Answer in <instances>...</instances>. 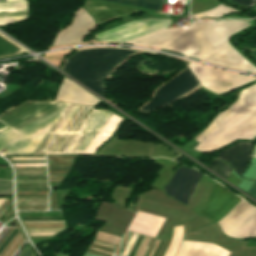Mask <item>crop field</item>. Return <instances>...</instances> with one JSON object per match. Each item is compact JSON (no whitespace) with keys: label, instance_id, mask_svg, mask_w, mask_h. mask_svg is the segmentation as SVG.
I'll return each instance as SVG.
<instances>
[{"label":"crop field","instance_id":"crop-field-1","mask_svg":"<svg viewBox=\"0 0 256 256\" xmlns=\"http://www.w3.org/2000/svg\"><path fill=\"white\" fill-rule=\"evenodd\" d=\"M251 23L247 21L214 22L177 53L256 73V69L233 50L227 42L229 36L246 28Z\"/></svg>","mask_w":256,"mask_h":256},{"label":"crop field","instance_id":"crop-field-2","mask_svg":"<svg viewBox=\"0 0 256 256\" xmlns=\"http://www.w3.org/2000/svg\"><path fill=\"white\" fill-rule=\"evenodd\" d=\"M136 52L139 51L113 48L81 50L67 58L61 70L103 97V78L122 60Z\"/></svg>","mask_w":256,"mask_h":256},{"label":"crop field","instance_id":"crop-field-3","mask_svg":"<svg viewBox=\"0 0 256 256\" xmlns=\"http://www.w3.org/2000/svg\"><path fill=\"white\" fill-rule=\"evenodd\" d=\"M255 136L256 116L230 112L200 142L196 150L213 151L238 137L253 139Z\"/></svg>","mask_w":256,"mask_h":256},{"label":"crop field","instance_id":"crop-field-4","mask_svg":"<svg viewBox=\"0 0 256 256\" xmlns=\"http://www.w3.org/2000/svg\"><path fill=\"white\" fill-rule=\"evenodd\" d=\"M211 22L213 21L207 23H193L187 26L189 29L183 32L180 29H166L133 40L127 44H141L176 52L200 31L207 27Z\"/></svg>","mask_w":256,"mask_h":256},{"label":"crop field","instance_id":"crop-field-5","mask_svg":"<svg viewBox=\"0 0 256 256\" xmlns=\"http://www.w3.org/2000/svg\"><path fill=\"white\" fill-rule=\"evenodd\" d=\"M197 81L193 77L189 68L185 69L183 72L174 77L164 86L159 88L154 98L140 110L150 112L162 105L170 103L171 101L181 97L185 93L200 86Z\"/></svg>","mask_w":256,"mask_h":256},{"label":"crop field","instance_id":"crop-field-6","mask_svg":"<svg viewBox=\"0 0 256 256\" xmlns=\"http://www.w3.org/2000/svg\"><path fill=\"white\" fill-rule=\"evenodd\" d=\"M200 177L201 174L191 169L179 167L163 190L172 198L187 204Z\"/></svg>","mask_w":256,"mask_h":256},{"label":"crop field","instance_id":"crop-field-7","mask_svg":"<svg viewBox=\"0 0 256 256\" xmlns=\"http://www.w3.org/2000/svg\"><path fill=\"white\" fill-rule=\"evenodd\" d=\"M239 201L240 198L217 184L211 193L206 208L200 214L217 222Z\"/></svg>","mask_w":256,"mask_h":256},{"label":"crop field","instance_id":"crop-field-8","mask_svg":"<svg viewBox=\"0 0 256 256\" xmlns=\"http://www.w3.org/2000/svg\"><path fill=\"white\" fill-rule=\"evenodd\" d=\"M94 28L96 26L93 18L81 8L75 16L74 23L57 35L53 46L80 42Z\"/></svg>","mask_w":256,"mask_h":256},{"label":"crop field","instance_id":"crop-field-9","mask_svg":"<svg viewBox=\"0 0 256 256\" xmlns=\"http://www.w3.org/2000/svg\"><path fill=\"white\" fill-rule=\"evenodd\" d=\"M65 78V77H64ZM55 100L75 105L93 106L98 100L96 97L76 85L72 81L63 79Z\"/></svg>","mask_w":256,"mask_h":256},{"label":"crop field","instance_id":"crop-field-10","mask_svg":"<svg viewBox=\"0 0 256 256\" xmlns=\"http://www.w3.org/2000/svg\"><path fill=\"white\" fill-rule=\"evenodd\" d=\"M252 143L240 142L239 144L220 152L217 160L228 163L237 175H241L253 157L250 156Z\"/></svg>","mask_w":256,"mask_h":256},{"label":"crop field","instance_id":"crop-field-11","mask_svg":"<svg viewBox=\"0 0 256 256\" xmlns=\"http://www.w3.org/2000/svg\"><path fill=\"white\" fill-rule=\"evenodd\" d=\"M85 7L96 17L97 23L139 10L87 0Z\"/></svg>","mask_w":256,"mask_h":256},{"label":"crop field","instance_id":"crop-field-12","mask_svg":"<svg viewBox=\"0 0 256 256\" xmlns=\"http://www.w3.org/2000/svg\"><path fill=\"white\" fill-rule=\"evenodd\" d=\"M105 1L158 10L159 4L162 0H105Z\"/></svg>","mask_w":256,"mask_h":256},{"label":"crop field","instance_id":"crop-field-13","mask_svg":"<svg viewBox=\"0 0 256 256\" xmlns=\"http://www.w3.org/2000/svg\"><path fill=\"white\" fill-rule=\"evenodd\" d=\"M234 11L235 10H233V9L226 8V7H223V6L219 5V6L215 7L212 10L205 11V12L196 14L194 16L196 18H200V17H203V16L219 17V16H222V14H226V13H230V12H234Z\"/></svg>","mask_w":256,"mask_h":256},{"label":"crop field","instance_id":"crop-field-14","mask_svg":"<svg viewBox=\"0 0 256 256\" xmlns=\"http://www.w3.org/2000/svg\"><path fill=\"white\" fill-rule=\"evenodd\" d=\"M232 169L226 163L220 162L219 166L217 167L216 171L219 175L223 178L227 179L230 176Z\"/></svg>","mask_w":256,"mask_h":256},{"label":"crop field","instance_id":"crop-field-15","mask_svg":"<svg viewBox=\"0 0 256 256\" xmlns=\"http://www.w3.org/2000/svg\"><path fill=\"white\" fill-rule=\"evenodd\" d=\"M12 195V182L0 180V196Z\"/></svg>","mask_w":256,"mask_h":256},{"label":"crop field","instance_id":"crop-field-16","mask_svg":"<svg viewBox=\"0 0 256 256\" xmlns=\"http://www.w3.org/2000/svg\"><path fill=\"white\" fill-rule=\"evenodd\" d=\"M231 1L238 3V4L246 7L247 9L256 4V0H231Z\"/></svg>","mask_w":256,"mask_h":256},{"label":"crop field","instance_id":"crop-field-17","mask_svg":"<svg viewBox=\"0 0 256 256\" xmlns=\"http://www.w3.org/2000/svg\"><path fill=\"white\" fill-rule=\"evenodd\" d=\"M247 193L256 198V179L254 180L253 184L251 185Z\"/></svg>","mask_w":256,"mask_h":256},{"label":"crop field","instance_id":"crop-field-18","mask_svg":"<svg viewBox=\"0 0 256 256\" xmlns=\"http://www.w3.org/2000/svg\"><path fill=\"white\" fill-rule=\"evenodd\" d=\"M218 163H219V161H214V160H212V162H211V164H210V168L215 171V169H216Z\"/></svg>","mask_w":256,"mask_h":256},{"label":"crop field","instance_id":"crop-field-19","mask_svg":"<svg viewBox=\"0 0 256 256\" xmlns=\"http://www.w3.org/2000/svg\"><path fill=\"white\" fill-rule=\"evenodd\" d=\"M253 156L256 157V145H255L254 150H253Z\"/></svg>","mask_w":256,"mask_h":256},{"label":"crop field","instance_id":"crop-field-20","mask_svg":"<svg viewBox=\"0 0 256 256\" xmlns=\"http://www.w3.org/2000/svg\"><path fill=\"white\" fill-rule=\"evenodd\" d=\"M252 54L256 57V50H254Z\"/></svg>","mask_w":256,"mask_h":256}]
</instances>
